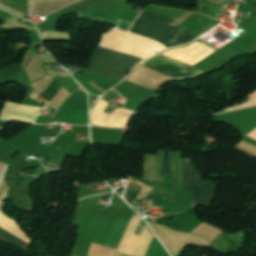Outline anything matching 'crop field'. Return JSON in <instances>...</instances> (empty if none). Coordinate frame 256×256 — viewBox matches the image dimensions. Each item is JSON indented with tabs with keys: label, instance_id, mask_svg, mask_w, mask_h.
<instances>
[{
	"label": "crop field",
	"instance_id": "obj_7",
	"mask_svg": "<svg viewBox=\"0 0 256 256\" xmlns=\"http://www.w3.org/2000/svg\"><path fill=\"white\" fill-rule=\"evenodd\" d=\"M252 1H255V2H256V0H252Z\"/></svg>",
	"mask_w": 256,
	"mask_h": 256
},
{
	"label": "crop field",
	"instance_id": "obj_4",
	"mask_svg": "<svg viewBox=\"0 0 256 256\" xmlns=\"http://www.w3.org/2000/svg\"><path fill=\"white\" fill-rule=\"evenodd\" d=\"M140 65L175 78L177 80L191 78L204 73L193 67L184 65L182 63L176 62L170 58H167L161 54H158L144 62Z\"/></svg>",
	"mask_w": 256,
	"mask_h": 256
},
{
	"label": "crop field",
	"instance_id": "obj_1",
	"mask_svg": "<svg viewBox=\"0 0 256 256\" xmlns=\"http://www.w3.org/2000/svg\"><path fill=\"white\" fill-rule=\"evenodd\" d=\"M139 61L99 46L90 59L87 72L121 81Z\"/></svg>",
	"mask_w": 256,
	"mask_h": 256
},
{
	"label": "crop field",
	"instance_id": "obj_6",
	"mask_svg": "<svg viewBox=\"0 0 256 256\" xmlns=\"http://www.w3.org/2000/svg\"><path fill=\"white\" fill-rule=\"evenodd\" d=\"M137 18L170 25L175 18L142 12Z\"/></svg>",
	"mask_w": 256,
	"mask_h": 256
},
{
	"label": "crop field",
	"instance_id": "obj_2",
	"mask_svg": "<svg viewBox=\"0 0 256 256\" xmlns=\"http://www.w3.org/2000/svg\"><path fill=\"white\" fill-rule=\"evenodd\" d=\"M130 31L155 40L163 44L166 48L190 42L195 38L176 27L138 19H136Z\"/></svg>",
	"mask_w": 256,
	"mask_h": 256
},
{
	"label": "crop field",
	"instance_id": "obj_5",
	"mask_svg": "<svg viewBox=\"0 0 256 256\" xmlns=\"http://www.w3.org/2000/svg\"><path fill=\"white\" fill-rule=\"evenodd\" d=\"M0 227L7 230L8 232L14 234L15 236L21 238L24 240L26 243H29L27 241L20 230V228L15 224L13 220L10 218L6 217L0 212ZM0 228V239L9 241L17 246H19L22 249H27L28 244H26L24 241L21 239L13 236L12 234L4 231L3 229Z\"/></svg>",
	"mask_w": 256,
	"mask_h": 256
},
{
	"label": "crop field",
	"instance_id": "obj_3",
	"mask_svg": "<svg viewBox=\"0 0 256 256\" xmlns=\"http://www.w3.org/2000/svg\"><path fill=\"white\" fill-rule=\"evenodd\" d=\"M184 188L193 196L191 205H196L202 178L193 159H183ZM218 181L203 180L197 205L210 207Z\"/></svg>",
	"mask_w": 256,
	"mask_h": 256
}]
</instances>
